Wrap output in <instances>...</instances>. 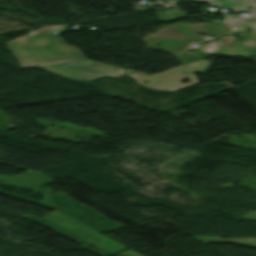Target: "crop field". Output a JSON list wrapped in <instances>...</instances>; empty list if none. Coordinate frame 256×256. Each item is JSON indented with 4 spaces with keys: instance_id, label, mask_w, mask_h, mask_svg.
<instances>
[{
    "instance_id": "obj_1",
    "label": "crop field",
    "mask_w": 256,
    "mask_h": 256,
    "mask_svg": "<svg viewBox=\"0 0 256 256\" xmlns=\"http://www.w3.org/2000/svg\"><path fill=\"white\" fill-rule=\"evenodd\" d=\"M22 68L42 66L85 58L78 48L66 44L51 32L23 36L7 44Z\"/></svg>"
},
{
    "instance_id": "obj_2",
    "label": "crop field",
    "mask_w": 256,
    "mask_h": 256,
    "mask_svg": "<svg viewBox=\"0 0 256 256\" xmlns=\"http://www.w3.org/2000/svg\"><path fill=\"white\" fill-rule=\"evenodd\" d=\"M209 62L202 60L191 64H184L173 68L166 72L146 76L137 73L128 74L137 81L138 84L152 90L172 91L196 82H199L193 75L194 72H205ZM187 71L186 73H183ZM190 79L192 83L180 84V80ZM143 81H149L148 84H143Z\"/></svg>"
},
{
    "instance_id": "obj_3",
    "label": "crop field",
    "mask_w": 256,
    "mask_h": 256,
    "mask_svg": "<svg viewBox=\"0 0 256 256\" xmlns=\"http://www.w3.org/2000/svg\"><path fill=\"white\" fill-rule=\"evenodd\" d=\"M41 69H44L52 74L78 80H91L104 75L119 76L126 72L124 69L103 65L89 60L60 64Z\"/></svg>"
},
{
    "instance_id": "obj_4",
    "label": "crop field",
    "mask_w": 256,
    "mask_h": 256,
    "mask_svg": "<svg viewBox=\"0 0 256 256\" xmlns=\"http://www.w3.org/2000/svg\"><path fill=\"white\" fill-rule=\"evenodd\" d=\"M250 12H251V15L248 17L224 15V17H226L227 19L223 23L241 27V28L256 30V9Z\"/></svg>"
},
{
    "instance_id": "obj_5",
    "label": "crop field",
    "mask_w": 256,
    "mask_h": 256,
    "mask_svg": "<svg viewBox=\"0 0 256 256\" xmlns=\"http://www.w3.org/2000/svg\"><path fill=\"white\" fill-rule=\"evenodd\" d=\"M218 2H210V4L222 6L231 9L234 12L246 10L248 7L256 6V0H245V1H238V0H225L222 1L224 3Z\"/></svg>"
},
{
    "instance_id": "obj_6",
    "label": "crop field",
    "mask_w": 256,
    "mask_h": 256,
    "mask_svg": "<svg viewBox=\"0 0 256 256\" xmlns=\"http://www.w3.org/2000/svg\"><path fill=\"white\" fill-rule=\"evenodd\" d=\"M216 53L224 54L227 56H234V55H241V56H250L249 52L240 49L238 47H235L230 44H223L217 51Z\"/></svg>"
},
{
    "instance_id": "obj_7",
    "label": "crop field",
    "mask_w": 256,
    "mask_h": 256,
    "mask_svg": "<svg viewBox=\"0 0 256 256\" xmlns=\"http://www.w3.org/2000/svg\"><path fill=\"white\" fill-rule=\"evenodd\" d=\"M253 37L240 43V44H237L236 46L238 47H241L243 49H246V50H253L256 48V34H252Z\"/></svg>"
},
{
    "instance_id": "obj_8",
    "label": "crop field",
    "mask_w": 256,
    "mask_h": 256,
    "mask_svg": "<svg viewBox=\"0 0 256 256\" xmlns=\"http://www.w3.org/2000/svg\"><path fill=\"white\" fill-rule=\"evenodd\" d=\"M195 1H200V2H210V1H217V0H195Z\"/></svg>"
}]
</instances>
